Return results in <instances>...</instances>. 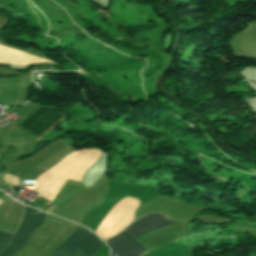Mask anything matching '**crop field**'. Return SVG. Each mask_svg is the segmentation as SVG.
Returning a JSON list of instances; mask_svg holds the SVG:
<instances>
[{"mask_svg": "<svg viewBox=\"0 0 256 256\" xmlns=\"http://www.w3.org/2000/svg\"><path fill=\"white\" fill-rule=\"evenodd\" d=\"M175 223L160 213H152L134 221L119 235L109 239L106 243L112 250V256H141L148 252L134 239Z\"/></svg>", "mask_w": 256, "mask_h": 256, "instance_id": "8a807250", "label": "crop field"}, {"mask_svg": "<svg viewBox=\"0 0 256 256\" xmlns=\"http://www.w3.org/2000/svg\"><path fill=\"white\" fill-rule=\"evenodd\" d=\"M104 243L88 229L79 226L73 235L52 254L92 256Z\"/></svg>", "mask_w": 256, "mask_h": 256, "instance_id": "ac0d7876", "label": "crop field"}, {"mask_svg": "<svg viewBox=\"0 0 256 256\" xmlns=\"http://www.w3.org/2000/svg\"><path fill=\"white\" fill-rule=\"evenodd\" d=\"M46 216L47 213L40 212L29 207L25 211L23 221L12 242L0 253V256H11L23 250L26 241L33 232L43 224Z\"/></svg>", "mask_w": 256, "mask_h": 256, "instance_id": "34b2d1b8", "label": "crop field"}, {"mask_svg": "<svg viewBox=\"0 0 256 256\" xmlns=\"http://www.w3.org/2000/svg\"><path fill=\"white\" fill-rule=\"evenodd\" d=\"M63 116L57 111L43 106L18 127L40 138L47 129Z\"/></svg>", "mask_w": 256, "mask_h": 256, "instance_id": "412701ff", "label": "crop field"}, {"mask_svg": "<svg viewBox=\"0 0 256 256\" xmlns=\"http://www.w3.org/2000/svg\"><path fill=\"white\" fill-rule=\"evenodd\" d=\"M11 237V234L0 232V251L7 246V244L10 242Z\"/></svg>", "mask_w": 256, "mask_h": 256, "instance_id": "f4fd0767", "label": "crop field"}]
</instances>
